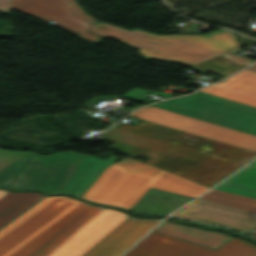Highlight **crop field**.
Segmentation results:
<instances>
[{
  "label": "crop field",
  "instance_id": "8a807250",
  "mask_svg": "<svg viewBox=\"0 0 256 256\" xmlns=\"http://www.w3.org/2000/svg\"><path fill=\"white\" fill-rule=\"evenodd\" d=\"M102 210L47 197L0 231V256H48Z\"/></svg>",
  "mask_w": 256,
  "mask_h": 256
},
{
  "label": "crop field",
  "instance_id": "cbeb9de0",
  "mask_svg": "<svg viewBox=\"0 0 256 256\" xmlns=\"http://www.w3.org/2000/svg\"><path fill=\"white\" fill-rule=\"evenodd\" d=\"M118 158L119 157L110 155V157L105 160L85 155L59 193L72 194L81 198L102 174L105 168Z\"/></svg>",
  "mask_w": 256,
  "mask_h": 256
},
{
  "label": "crop field",
  "instance_id": "730fd06b",
  "mask_svg": "<svg viewBox=\"0 0 256 256\" xmlns=\"http://www.w3.org/2000/svg\"><path fill=\"white\" fill-rule=\"evenodd\" d=\"M11 11V0H0V12L8 14Z\"/></svg>",
  "mask_w": 256,
  "mask_h": 256
},
{
  "label": "crop field",
  "instance_id": "5a996713",
  "mask_svg": "<svg viewBox=\"0 0 256 256\" xmlns=\"http://www.w3.org/2000/svg\"><path fill=\"white\" fill-rule=\"evenodd\" d=\"M131 116L149 120L175 129L207 136L245 149L256 151V136L154 107H144Z\"/></svg>",
  "mask_w": 256,
  "mask_h": 256
},
{
  "label": "crop field",
  "instance_id": "e52e79f7",
  "mask_svg": "<svg viewBox=\"0 0 256 256\" xmlns=\"http://www.w3.org/2000/svg\"><path fill=\"white\" fill-rule=\"evenodd\" d=\"M125 256H256V247L234 238L212 251L152 231Z\"/></svg>",
  "mask_w": 256,
  "mask_h": 256
},
{
  "label": "crop field",
  "instance_id": "214f88e0",
  "mask_svg": "<svg viewBox=\"0 0 256 256\" xmlns=\"http://www.w3.org/2000/svg\"><path fill=\"white\" fill-rule=\"evenodd\" d=\"M216 85L256 96V72L246 69Z\"/></svg>",
  "mask_w": 256,
  "mask_h": 256
},
{
  "label": "crop field",
  "instance_id": "d3111659",
  "mask_svg": "<svg viewBox=\"0 0 256 256\" xmlns=\"http://www.w3.org/2000/svg\"><path fill=\"white\" fill-rule=\"evenodd\" d=\"M249 165L256 166V160H254L253 162H251Z\"/></svg>",
  "mask_w": 256,
  "mask_h": 256
},
{
  "label": "crop field",
  "instance_id": "3316defc",
  "mask_svg": "<svg viewBox=\"0 0 256 256\" xmlns=\"http://www.w3.org/2000/svg\"><path fill=\"white\" fill-rule=\"evenodd\" d=\"M173 215L182 219L197 220L212 225H224L244 233L256 226V214L196 199Z\"/></svg>",
  "mask_w": 256,
  "mask_h": 256
},
{
  "label": "crop field",
  "instance_id": "eef30255",
  "mask_svg": "<svg viewBox=\"0 0 256 256\" xmlns=\"http://www.w3.org/2000/svg\"><path fill=\"white\" fill-rule=\"evenodd\" d=\"M7 193V191H4V190H1L0 189V198L3 196V195H5Z\"/></svg>",
  "mask_w": 256,
  "mask_h": 256
},
{
  "label": "crop field",
  "instance_id": "d9b57169",
  "mask_svg": "<svg viewBox=\"0 0 256 256\" xmlns=\"http://www.w3.org/2000/svg\"><path fill=\"white\" fill-rule=\"evenodd\" d=\"M192 199L150 187L130 211L139 215L168 214Z\"/></svg>",
  "mask_w": 256,
  "mask_h": 256
},
{
  "label": "crop field",
  "instance_id": "ae1a2a85",
  "mask_svg": "<svg viewBox=\"0 0 256 256\" xmlns=\"http://www.w3.org/2000/svg\"><path fill=\"white\" fill-rule=\"evenodd\" d=\"M255 229H256V227H255ZM248 235H251V236H253V237H256V232H255V233L250 232Z\"/></svg>",
  "mask_w": 256,
  "mask_h": 256
},
{
  "label": "crop field",
  "instance_id": "28ad6ade",
  "mask_svg": "<svg viewBox=\"0 0 256 256\" xmlns=\"http://www.w3.org/2000/svg\"><path fill=\"white\" fill-rule=\"evenodd\" d=\"M127 216L122 212L104 209L50 256H82Z\"/></svg>",
  "mask_w": 256,
  "mask_h": 256
},
{
  "label": "crop field",
  "instance_id": "5142ce71",
  "mask_svg": "<svg viewBox=\"0 0 256 256\" xmlns=\"http://www.w3.org/2000/svg\"><path fill=\"white\" fill-rule=\"evenodd\" d=\"M154 231L185 240L209 249H216L233 237L217 231L202 230L190 226L179 225L165 220Z\"/></svg>",
  "mask_w": 256,
  "mask_h": 256
},
{
  "label": "crop field",
  "instance_id": "92a150f3",
  "mask_svg": "<svg viewBox=\"0 0 256 256\" xmlns=\"http://www.w3.org/2000/svg\"><path fill=\"white\" fill-rule=\"evenodd\" d=\"M200 92H204L207 94H211L214 96H218L221 98H225L228 100H232L235 102H239L242 104L256 107V97L246 95L243 93H239V92H235L232 90H228L225 88H221L218 86H214V85L207 86V87L203 88Z\"/></svg>",
  "mask_w": 256,
  "mask_h": 256
},
{
  "label": "crop field",
  "instance_id": "d1516ede",
  "mask_svg": "<svg viewBox=\"0 0 256 256\" xmlns=\"http://www.w3.org/2000/svg\"><path fill=\"white\" fill-rule=\"evenodd\" d=\"M160 220H138L127 217L83 256H120Z\"/></svg>",
  "mask_w": 256,
  "mask_h": 256
},
{
  "label": "crop field",
  "instance_id": "34b2d1b8",
  "mask_svg": "<svg viewBox=\"0 0 256 256\" xmlns=\"http://www.w3.org/2000/svg\"><path fill=\"white\" fill-rule=\"evenodd\" d=\"M115 143L110 148L122 150L132 156L144 154L153 157L148 164L191 179L208 187L241 167L233 161L191 150L154 138L121 130L117 127L106 132Z\"/></svg>",
  "mask_w": 256,
  "mask_h": 256
},
{
  "label": "crop field",
  "instance_id": "4177f3b9",
  "mask_svg": "<svg viewBox=\"0 0 256 256\" xmlns=\"http://www.w3.org/2000/svg\"><path fill=\"white\" fill-rule=\"evenodd\" d=\"M238 50H240V49H237L235 51L226 53V54L221 55V56L230 60V61H232V62H234V63H236V64H238V65H240V66H242L243 68L256 61V60H253V59L245 57V56L237 57V56L232 54V53H234Z\"/></svg>",
  "mask_w": 256,
  "mask_h": 256
},
{
  "label": "crop field",
  "instance_id": "a9b5d70f",
  "mask_svg": "<svg viewBox=\"0 0 256 256\" xmlns=\"http://www.w3.org/2000/svg\"><path fill=\"white\" fill-rule=\"evenodd\" d=\"M149 93L170 98L168 93H165V92H151V91L142 90V89H138V88H135L133 90L128 91L124 95V97L138 101V100H140L141 98H143L144 96H146Z\"/></svg>",
  "mask_w": 256,
  "mask_h": 256
},
{
  "label": "crop field",
  "instance_id": "412701ff",
  "mask_svg": "<svg viewBox=\"0 0 256 256\" xmlns=\"http://www.w3.org/2000/svg\"><path fill=\"white\" fill-rule=\"evenodd\" d=\"M150 186L193 198L209 189L191 180L127 158L107 167L83 198L131 209Z\"/></svg>",
  "mask_w": 256,
  "mask_h": 256
},
{
  "label": "crop field",
  "instance_id": "dd49c442",
  "mask_svg": "<svg viewBox=\"0 0 256 256\" xmlns=\"http://www.w3.org/2000/svg\"><path fill=\"white\" fill-rule=\"evenodd\" d=\"M256 135V108L196 92L150 105Z\"/></svg>",
  "mask_w": 256,
  "mask_h": 256
},
{
  "label": "crop field",
  "instance_id": "750c4746",
  "mask_svg": "<svg viewBox=\"0 0 256 256\" xmlns=\"http://www.w3.org/2000/svg\"><path fill=\"white\" fill-rule=\"evenodd\" d=\"M248 69H251V70H255V71H256V65H254V66H252V67H250V68H248Z\"/></svg>",
  "mask_w": 256,
  "mask_h": 256
},
{
  "label": "crop field",
  "instance_id": "f4fd0767",
  "mask_svg": "<svg viewBox=\"0 0 256 256\" xmlns=\"http://www.w3.org/2000/svg\"><path fill=\"white\" fill-rule=\"evenodd\" d=\"M83 156L61 152L44 157L30 152L0 170V186L58 193Z\"/></svg>",
  "mask_w": 256,
  "mask_h": 256
},
{
  "label": "crop field",
  "instance_id": "22f410ed",
  "mask_svg": "<svg viewBox=\"0 0 256 256\" xmlns=\"http://www.w3.org/2000/svg\"><path fill=\"white\" fill-rule=\"evenodd\" d=\"M157 139H161L167 142L185 146L191 149L209 153L243 164L256 157V152H252L207 137L175 129L165 133Z\"/></svg>",
  "mask_w": 256,
  "mask_h": 256
},
{
  "label": "crop field",
  "instance_id": "4a817a6b",
  "mask_svg": "<svg viewBox=\"0 0 256 256\" xmlns=\"http://www.w3.org/2000/svg\"><path fill=\"white\" fill-rule=\"evenodd\" d=\"M215 188L256 198V167L245 166Z\"/></svg>",
  "mask_w": 256,
  "mask_h": 256
},
{
  "label": "crop field",
  "instance_id": "d8731c3e",
  "mask_svg": "<svg viewBox=\"0 0 256 256\" xmlns=\"http://www.w3.org/2000/svg\"><path fill=\"white\" fill-rule=\"evenodd\" d=\"M12 8L47 23L53 21L92 42L102 41L85 31L97 21L85 14L75 0H12Z\"/></svg>",
  "mask_w": 256,
  "mask_h": 256
},
{
  "label": "crop field",
  "instance_id": "00972430",
  "mask_svg": "<svg viewBox=\"0 0 256 256\" xmlns=\"http://www.w3.org/2000/svg\"><path fill=\"white\" fill-rule=\"evenodd\" d=\"M29 151H7L0 150V169L4 168L8 164L22 157Z\"/></svg>",
  "mask_w": 256,
  "mask_h": 256
},
{
  "label": "crop field",
  "instance_id": "733c2abd",
  "mask_svg": "<svg viewBox=\"0 0 256 256\" xmlns=\"http://www.w3.org/2000/svg\"><path fill=\"white\" fill-rule=\"evenodd\" d=\"M44 195L34 192L12 193L9 192L0 199V227L23 212L29 206L41 199Z\"/></svg>",
  "mask_w": 256,
  "mask_h": 256
},
{
  "label": "crop field",
  "instance_id": "bc2a9ffb",
  "mask_svg": "<svg viewBox=\"0 0 256 256\" xmlns=\"http://www.w3.org/2000/svg\"><path fill=\"white\" fill-rule=\"evenodd\" d=\"M199 199L251 211L256 213V199L212 189Z\"/></svg>",
  "mask_w": 256,
  "mask_h": 256
},
{
  "label": "crop field",
  "instance_id": "ac0d7876",
  "mask_svg": "<svg viewBox=\"0 0 256 256\" xmlns=\"http://www.w3.org/2000/svg\"><path fill=\"white\" fill-rule=\"evenodd\" d=\"M87 32L103 39H118L139 49L144 59L180 62L185 66L240 48L234 33L223 29L207 35H156L139 29L128 31L97 22Z\"/></svg>",
  "mask_w": 256,
  "mask_h": 256
},
{
  "label": "crop field",
  "instance_id": "dafd665d",
  "mask_svg": "<svg viewBox=\"0 0 256 256\" xmlns=\"http://www.w3.org/2000/svg\"><path fill=\"white\" fill-rule=\"evenodd\" d=\"M116 126L122 128L124 130L136 132V133L147 135V136L154 137V138H156L172 129V128H168V127L158 125V124H155L152 122H148L145 120H143L136 126L122 123V122L118 123Z\"/></svg>",
  "mask_w": 256,
  "mask_h": 256
}]
</instances>
